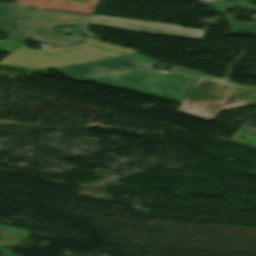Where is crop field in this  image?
Instances as JSON below:
<instances>
[{
    "instance_id": "obj_11",
    "label": "crop field",
    "mask_w": 256,
    "mask_h": 256,
    "mask_svg": "<svg viewBox=\"0 0 256 256\" xmlns=\"http://www.w3.org/2000/svg\"><path fill=\"white\" fill-rule=\"evenodd\" d=\"M202 1H207V0H202Z\"/></svg>"
},
{
    "instance_id": "obj_1",
    "label": "crop field",
    "mask_w": 256,
    "mask_h": 256,
    "mask_svg": "<svg viewBox=\"0 0 256 256\" xmlns=\"http://www.w3.org/2000/svg\"><path fill=\"white\" fill-rule=\"evenodd\" d=\"M149 65L122 56L55 70L74 81H93L177 102L199 76L176 69L165 74L147 67Z\"/></svg>"
},
{
    "instance_id": "obj_5",
    "label": "crop field",
    "mask_w": 256,
    "mask_h": 256,
    "mask_svg": "<svg viewBox=\"0 0 256 256\" xmlns=\"http://www.w3.org/2000/svg\"><path fill=\"white\" fill-rule=\"evenodd\" d=\"M89 24L107 27H115L129 31L202 39L204 31L200 29L183 28L179 25L150 22L142 20L115 18L107 16L92 15Z\"/></svg>"
},
{
    "instance_id": "obj_4",
    "label": "crop field",
    "mask_w": 256,
    "mask_h": 256,
    "mask_svg": "<svg viewBox=\"0 0 256 256\" xmlns=\"http://www.w3.org/2000/svg\"><path fill=\"white\" fill-rule=\"evenodd\" d=\"M116 56H122V54L89 46L67 49L65 52L61 53L59 51L54 52L50 50L35 51L26 48L24 44L14 53L2 59L0 64L51 69Z\"/></svg>"
},
{
    "instance_id": "obj_9",
    "label": "crop field",
    "mask_w": 256,
    "mask_h": 256,
    "mask_svg": "<svg viewBox=\"0 0 256 256\" xmlns=\"http://www.w3.org/2000/svg\"><path fill=\"white\" fill-rule=\"evenodd\" d=\"M129 55H131L133 57H136V58H138L140 60H143V61H147V62H151V63H156V62H153V60L151 58L144 57V56H142V55H140L138 53L129 54ZM159 64H162V63H159ZM163 65H167V64H163ZM167 66H171V65H167ZM171 67H174V66H171Z\"/></svg>"
},
{
    "instance_id": "obj_2",
    "label": "crop field",
    "mask_w": 256,
    "mask_h": 256,
    "mask_svg": "<svg viewBox=\"0 0 256 256\" xmlns=\"http://www.w3.org/2000/svg\"><path fill=\"white\" fill-rule=\"evenodd\" d=\"M253 105H256V87L200 75L176 111L212 121L221 111Z\"/></svg>"
},
{
    "instance_id": "obj_10",
    "label": "crop field",
    "mask_w": 256,
    "mask_h": 256,
    "mask_svg": "<svg viewBox=\"0 0 256 256\" xmlns=\"http://www.w3.org/2000/svg\"><path fill=\"white\" fill-rule=\"evenodd\" d=\"M190 71H192V70H190ZM194 72H198V71H194ZM199 73H202V72H199Z\"/></svg>"
},
{
    "instance_id": "obj_3",
    "label": "crop field",
    "mask_w": 256,
    "mask_h": 256,
    "mask_svg": "<svg viewBox=\"0 0 256 256\" xmlns=\"http://www.w3.org/2000/svg\"><path fill=\"white\" fill-rule=\"evenodd\" d=\"M89 15L68 11L23 6L18 17L14 36L32 41L56 45L60 48L79 46L88 39L52 33V28L61 26L79 27L85 33ZM20 27V29H19Z\"/></svg>"
},
{
    "instance_id": "obj_7",
    "label": "crop field",
    "mask_w": 256,
    "mask_h": 256,
    "mask_svg": "<svg viewBox=\"0 0 256 256\" xmlns=\"http://www.w3.org/2000/svg\"><path fill=\"white\" fill-rule=\"evenodd\" d=\"M22 6L20 4L0 3V16L16 18Z\"/></svg>"
},
{
    "instance_id": "obj_6",
    "label": "crop field",
    "mask_w": 256,
    "mask_h": 256,
    "mask_svg": "<svg viewBox=\"0 0 256 256\" xmlns=\"http://www.w3.org/2000/svg\"><path fill=\"white\" fill-rule=\"evenodd\" d=\"M15 20L8 18H0V31L7 34L10 38L5 40H0V52L10 53L15 48L24 43V40L16 42L15 39L11 36Z\"/></svg>"
},
{
    "instance_id": "obj_8",
    "label": "crop field",
    "mask_w": 256,
    "mask_h": 256,
    "mask_svg": "<svg viewBox=\"0 0 256 256\" xmlns=\"http://www.w3.org/2000/svg\"><path fill=\"white\" fill-rule=\"evenodd\" d=\"M88 44L93 45V46H97V47H101V48H105V49H110V50L122 52V53H125V54L137 52V51H133L134 49H132V48H123V47L111 45V44L104 43V42L93 41V40H90Z\"/></svg>"
}]
</instances>
